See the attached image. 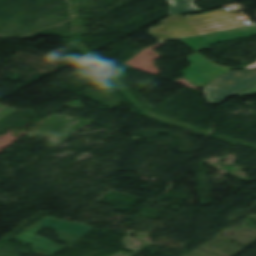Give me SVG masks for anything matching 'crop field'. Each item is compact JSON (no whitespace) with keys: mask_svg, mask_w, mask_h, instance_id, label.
Returning <instances> with one entry per match:
<instances>
[{"mask_svg":"<svg viewBox=\"0 0 256 256\" xmlns=\"http://www.w3.org/2000/svg\"><path fill=\"white\" fill-rule=\"evenodd\" d=\"M255 35L256 28L251 26L215 34L180 39V41L197 52L208 49V45L211 44ZM188 60L190 61V66L183 70V75L194 86L204 87L232 70L227 66H218L212 61L204 58L203 55L197 53L189 56Z\"/></svg>","mask_w":256,"mask_h":256,"instance_id":"crop-field-1","label":"crop field"},{"mask_svg":"<svg viewBox=\"0 0 256 256\" xmlns=\"http://www.w3.org/2000/svg\"><path fill=\"white\" fill-rule=\"evenodd\" d=\"M255 81L256 70L231 71L220 79L204 87V90L209 103L219 104L232 94Z\"/></svg>","mask_w":256,"mask_h":256,"instance_id":"crop-field-2","label":"crop field"},{"mask_svg":"<svg viewBox=\"0 0 256 256\" xmlns=\"http://www.w3.org/2000/svg\"><path fill=\"white\" fill-rule=\"evenodd\" d=\"M200 34L244 26L225 11H217L205 15L185 18Z\"/></svg>","mask_w":256,"mask_h":256,"instance_id":"crop-field-3","label":"crop field"},{"mask_svg":"<svg viewBox=\"0 0 256 256\" xmlns=\"http://www.w3.org/2000/svg\"><path fill=\"white\" fill-rule=\"evenodd\" d=\"M43 228L44 227H42V226L36 225L34 228L23 233L17 239H19L23 242L33 243V248L36 249L35 253L42 255V256H49V255L55 253L56 251L62 249L63 247H65V246L53 244L51 241H49L46 238L34 235L35 233H37L38 231H40ZM55 234L59 235V240L67 242L69 244H71L72 242L79 239V238L58 232V231H56Z\"/></svg>","mask_w":256,"mask_h":256,"instance_id":"crop-field-4","label":"crop field"},{"mask_svg":"<svg viewBox=\"0 0 256 256\" xmlns=\"http://www.w3.org/2000/svg\"><path fill=\"white\" fill-rule=\"evenodd\" d=\"M163 33L173 39L187 36L199 35L181 15L169 16L162 20V24L156 28H151L150 35Z\"/></svg>","mask_w":256,"mask_h":256,"instance_id":"crop-field-5","label":"crop field"},{"mask_svg":"<svg viewBox=\"0 0 256 256\" xmlns=\"http://www.w3.org/2000/svg\"><path fill=\"white\" fill-rule=\"evenodd\" d=\"M38 224L43 225L47 228L53 227L58 231H61L79 238H81L84 234H86L89 230L92 229V227L87 225L55 220L50 218H45Z\"/></svg>","mask_w":256,"mask_h":256,"instance_id":"crop-field-6","label":"crop field"},{"mask_svg":"<svg viewBox=\"0 0 256 256\" xmlns=\"http://www.w3.org/2000/svg\"><path fill=\"white\" fill-rule=\"evenodd\" d=\"M199 11L200 9L194 7L191 2L186 4L171 6L170 8L171 15L186 14V13H193V12H199Z\"/></svg>","mask_w":256,"mask_h":256,"instance_id":"crop-field-7","label":"crop field"},{"mask_svg":"<svg viewBox=\"0 0 256 256\" xmlns=\"http://www.w3.org/2000/svg\"><path fill=\"white\" fill-rule=\"evenodd\" d=\"M256 93V82L252 85L246 87L245 89L239 91L238 93L234 94L236 96H248Z\"/></svg>","mask_w":256,"mask_h":256,"instance_id":"crop-field-8","label":"crop field"},{"mask_svg":"<svg viewBox=\"0 0 256 256\" xmlns=\"http://www.w3.org/2000/svg\"><path fill=\"white\" fill-rule=\"evenodd\" d=\"M154 38H158L159 39V42H163V41H167V40H171V38L163 35V34H156V35H153Z\"/></svg>","mask_w":256,"mask_h":256,"instance_id":"crop-field-9","label":"crop field"},{"mask_svg":"<svg viewBox=\"0 0 256 256\" xmlns=\"http://www.w3.org/2000/svg\"><path fill=\"white\" fill-rule=\"evenodd\" d=\"M170 5L180 4V3H186L194 0H168Z\"/></svg>","mask_w":256,"mask_h":256,"instance_id":"crop-field-10","label":"crop field"}]
</instances>
